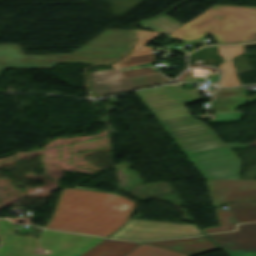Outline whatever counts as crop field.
<instances>
[{
    "label": "crop field",
    "instance_id": "obj_1",
    "mask_svg": "<svg viewBox=\"0 0 256 256\" xmlns=\"http://www.w3.org/2000/svg\"><path fill=\"white\" fill-rule=\"evenodd\" d=\"M134 204L117 194L65 187L45 228L106 236L129 218Z\"/></svg>",
    "mask_w": 256,
    "mask_h": 256
},
{
    "label": "crop field",
    "instance_id": "obj_2",
    "mask_svg": "<svg viewBox=\"0 0 256 256\" xmlns=\"http://www.w3.org/2000/svg\"><path fill=\"white\" fill-rule=\"evenodd\" d=\"M14 231V224L0 219V256H121L138 244L106 239L80 255L102 238L45 230L40 238V247L52 251L48 255H41L34 254L37 239L14 236Z\"/></svg>",
    "mask_w": 256,
    "mask_h": 256
},
{
    "label": "crop field",
    "instance_id": "obj_3",
    "mask_svg": "<svg viewBox=\"0 0 256 256\" xmlns=\"http://www.w3.org/2000/svg\"><path fill=\"white\" fill-rule=\"evenodd\" d=\"M207 33L218 44L256 40V7L214 5L169 35L174 39L189 41Z\"/></svg>",
    "mask_w": 256,
    "mask_h": 256
},
{
    "label": "crop field",
    "instance_id": "obj_4",
    "mask_svg": "<svg viewBox=\"0 0 256 256\" xmlns=\"http://www.w3.org/2000/svg\"><path fill=\"white\" fill-rule=\"evenodd\" d=\"M132 42V30L106 29L61 62L111 63L129 51Z\"/></svg>",
    "mask_w": 256,
    "mask_h": 256
},
{
    "label": "crop field",
    "instance_id": "obj_5",
    "mask_svg": "<svg viewBox=\"0 0 256 256\" xmlns=\"http://www.w3.org/2000/svg\"><path fill=\"white\" fill-rule=\"evenodd\" d=\"M157 120L188 115L182 105L205 100L197 89L186 91L179 84L144 89L134 92Z\"/></svg>",
    "mask_w": 256,
    "mask_h": 256
},
{
    "label": "crop field",
    "instance_id": "obj_6",
    "mask_svg": "<svg viewBox=\"0 0 256 256\" xmlns=\"http://www.w3.org/2000/svg\"><path fill=\"white\" fill-rule=\"evenodd\" d=\"M184 154L224 145L200 120L191 115L159 121Z\"/></svg>",
    "mask_w": 256,
    "mask_h": 256
},
{
    "label": "crop field",
    "instance_id": "obj_7",
    "mask_svg": "<svg viewBox=\"0 0 256 256\" xmlns=\"http://www.w3.org/2000/svg\"><path fill=\"white\" fill-rule=\"evenodd\" d=\"M204 179H238L241 162L226 146L186 155Z\"/></svg>",
    "mask_w": 256,
    "mask_h": 256
},
{
    "label": "crop field",
    "instance_id": "obj_8",
    "mask_svg": "<svg viewBox=\"0 0 256 256\" xmlns=\"http://www.w3.org/2000/svg\"><path fill=\"white\" fill-rule=\"evenodd\" d=\"M201 234L194 224L164 223L130 219L110 237L125 240H149Z\"/></svg>",
    "mask_w": 256,
    "mask_h": 256
},
{
    "label": "crop field",
    "instance_id": "obj_9",
    "mask_svg": "<svg viewBox=\"0 0 256 256\" xmlns=\"http://www.w3.org/2000/svg\"><path fill=\"white\" fill-rule=\"evenodd\" d=\"M113 66L117 69L90 74L91 88L99 96L170 82L159 72L124 78L118 64Z\"/></svg>",
    "mask_w": 256,
    "mask_h": 256
},
{
    "label": "crop field",
    "instance_id": "obj_10",
    "mask_svg": "<svg viewBox=\"0 0 256 256\" xmlns=\"http://www.w3.org/2000/svg\"><path fill=\"white\" fill-rule=\"evenodd\" d=\"M212 202L222 203L256 200V180H205Z\"/></svg>",
    "mask_w": 256,
    "mask_h": 256
},
{
    "label": "crop field",
    "instance_id": "obj_11",
    "mask_svg": "<svg viewBox=\"0 0 256 256\" xmlns=\"http://www.w3.org/2000/svg\"><path fill=\"white\" fill-rule=\"evenodd\" d=\"M207 236L229 256H256V223L240 225L237 232Z\"/></svg>",
    "mask_w": 256,
    "mask_h": 256
},
{
    "label": "crop field",
    "instance_id": "obj_12",
    "mask_svg": "<svg viewBox=\"0 0 256 256\" xmlns=\"http://www.w3.org/2000/svg\"><path fill=\"white\" fill-rule=\"evenodd\" d=\"M67 55H24L17 44L0 45V73L7 67L50 68Z\"/></svg>",
    "mask_w": 256,
    "mask_h": 256
},
{
    "label": "crop field",
    "instance_id": "obj_13",
    "mask_svg": "<svg viewBox=\"0 0 256 256\" xmlns=\"http://www.w3.org/2000/svg\"><path fill=\"white\" fill-rule=\"evenodd\" d=\"M145 243L192 255L218 249V247L210 242L205 236L161 241H149Z\"/></svg>",
    "mask_w": 256,
    "mask_h": 256
},
{
    "label": "crop field",
    "instance_id": "obj_14",
    "mask_svg": "<svg viewBox=\"0 0 256 256\" xmlns=\"http://www.w3.org/2000/svg\"><path fill=\"white\" fill-rule=\"evenodd\" d=\"M219 54L222 55L223 64L220 68L223 69V76L219 86L239 85L236 78L232 58L242 53V45L234 46H218Z\"/></svg>",
    "mask_w": 256,
    "mask_h": 256
},
{
    "label": "crop field",
    "instance_id": "obj_15",
    "mask_svg": "<svg viewBox=\"0 0 256 256\" xmlns=\"http://www.w3.org/2000/svg\"><path fill=\"white\" fill-rule=\"evenodd\" d=\"M251 96L245 97L243 91L217 93L212 100L209 109L214 112L236 111Z\"/></svg>",
    "mask_w": 256,
    "mask_h": 256
},
{
    "label": "crop field",
    "instance_id": "obj_16",
    "mask_svg": "<svg viewBox=\"0 0 256 256\" xmlns=\"http://www.w3.org/2000/svg\"><path fill=\"white\" fill-rule=\"evenodd\" d=\"M238 223L256 221V202L228 204Z\"/></svg>",
    "mask_w": 256,
    "mask_h": 256
},
{
    "label": "crop field",
    "instance_id": "obj_17",
    "mask_svg": "<svg viewBox=\"0 0 256 256\" xmlns=\"http://www.w3.org/2000/svg\"><path fill=\"white\" fill-rule=\"evenodd\" d=\"M125 256H191L149 244H141Z\"/></svg>",
    "mask_w": 256,
    "mask_h": 256
},
{
    "label": "crop field",
    "instance_id": "obj_18",
    "mask_svg": "<svg viewBox=\"0 0 256 256\" xmlns=\"http://www.w3.org/2000/svg\"><path fill=\"white\" fill-rule=\"evenodd\" d=\"M137 25L141 27L152 28V31L170 33L171 31L178 28L182 24L172 19L171 17L164 15L154 20L146 21Z\"/></svg>",
    "mask_w": 256,
    "mask_h": 256
},
{
    "label": "crop field",
    "instance_id": "obj_19",
    "mask_svg": "<svg viewBox=\"0 0 256 256\" xmlns=\"http://www.w3.org/2000/svg\"><path fill=\"white\" fill-rule=\"evenodd\" d=\"M220 226L200 229L204 233H214L234 229V221L229 210H222L221 206L215 209Z\"/></svg>",
    "mask_w": 256,
    "mask_h": 256
},
{
    "label": "crop field",
    "instance_id": "obj_20",
    "mask_svg": "<svg viewBox=\"0 0 256 256\" xmlns=\"http://www.w3.org/2000/svg\"><path fill=\"white\" fill-rule=\"evenodd\" d=\"M153 61L155 60L151 47L143 46L124 61H122L119 65L120 67H124Z\"/></svg>",
    "mask_w": 256,
    "mask_h": 256
},
{
    "label": "crop field",
    "instance_id": "obj_21",
    "mask_svg": "<svg viewBox=\"0 0 256 256\" xmlns=\"http://www.w3.org/2000/svg\"><path fill=\"white\" fill-rule=\"evenodd\" d=\"M136 31V36H137V42L134 45L133 51H136L138 48H140L141 46H143L144 44H146L151 37L155 36L156 32H152V31H143V30H139V29H135Z\"/></svg>",
    "mask_w": 256,
    "mask_h": 256
},
{
    "label": "crop field",
    "instance_id": "obj_22",
    "mask_svg": "<svg viewBox=\"0 0 256 256\" xmlns=\"http://www.w3.org/2000/svg\"><path fill=\"white\" fill-rule=\"evenodd\" d=\"M243 112L216 113V120L207 122L239 121Z\"/></svg>",
    "mask_w": 256,
    "mask_h": 256
},
{
    "label": "crop field",
    "instance_id": "obj_23",
    "mask_svg": "<svg viewBox=\"0 0 256 256\" xmlns=\"http://www.w3.org/2000/svg\"><path fill=\"white\" fill-rule=\"evenodd\" d=\"M152 68H142V69H136V70H130V71H124L123 74L125 77L127 76H132V75H137V74H142V73H147V72H152Z\"/></svg>",
    "mask_w": 256,
    "mask_h": 256
},
{
    "label": "crop field",
    "instance_id": "obj_24",
    "mask_svg": "<svg viewBox=\"0 0 256 256\" xmlns=\"http://www.w3.org/2000/svg\"><path fill=\"white\" fill-rule=\"evenodd\" d=\"M249 143H239V144H227L230 149H239V148H247Z\"/></svg>",
    "mask_w": 256,
    "mask_h": 256
},
{
    "label": "crop field",
    "instance_id": "obj_25",
    "mask_svg": "<svg viewBox=\"0 0 256 256\" xmlns=\"http://www.w3.org/2000/svg\"><path fill=\"white\" fill-rule=\"evenodd\" d=\"M242 90L241 87H234V88H219L217 92H223V91H237Z\"/></svg>",
    "mask_w": 256,
    "mask_h": 256
},
{
    "label": "crop field",
    "instance_id": "obj_26",
    "mask_svg": "<svg viewBox=\"0 0 256 256\" xmlns=\"http://www.w3.org/2000/svg\"><path fill=\"white\" fill-rule=\"evenodd\" d=\"M250 46H256V43L255 44L243 45V53H246V47H250Z\"/></svg>",
    "mask_w": 256,
    "mask_h": 256
},
{
    "label": "crop field",
    "instance_id": "obj_27",
    "mask_svg": "<svg viewBox=\"0 0 256 256\" xmlns=\"http://www.w3.org/2000/svg\"><path fill=\"white\" fill-rule=\"evenodd\" d=\"M256 100V96L255 97H253V98H251L250 100H248V101H251V102H253V101H255Z\"/></svg>",
    "mask_w": 256,
    "mask_h": 256
},
{
    "label": "crop field",
    "instance_id": "obj_28",
    "mask_svg": "<svg viewBox=\"0 0 256 256\" xmlns=\"http://www.w3.org/2000/svg\"><path fill=\"white\" fill-rule=\"evenodd\" d=\"M249 145L250 146H256V140L253 143L249 144Z\"/></svg>",
    "mask_w": 256,
    "mask_h": 256
}]
</instances>
